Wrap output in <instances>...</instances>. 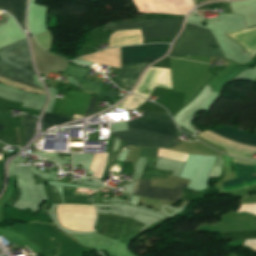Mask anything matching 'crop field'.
I'll use <instances>...</instances> for the list:
<instances>
[{
    "mask_svg": "<svg viewBox=\"0 0 256 256\" xmlns=\"http://www.w3.org/2000/svg\"><path fill=\"white\" fill-rule=\"evenodd\" d=\"M129 128H142L158 132H163L176 136L175 128L172 123L142 117L131 122H127ZM142 129H129V131L114 132L118 139L127 141V146H141V147H173L179 144L178 139L174 136L142 130ZM124 147V148H125Z\"/></svg>",
    "mask_w": 256,
    "mask_h": 256,
    "instance_id": "1",
    "label": "crop field"
},
{
    "mask_svg": "<svg viewBox=\"0 0 256 256\" xmlns=\"http://www.w3.org/2000/svg\"><path fill=\"white\" fill-rule=\"evenodd\" d=\"M169 46L168 44H154L121 48L122 62L155 61L165 55ZM151 63H122V69L114 82L131 90L143 69Z\"/></svg>",
    "mask_w": 256,
    "mask_h": 256,
    "instance_id": "2",
    "label": "crop field"
},
{
    "mask_svg": "<svg viewBox=\"0 0 256 256\" xmlns=\"http://www.w3.org/2000/svg\"><path fill=\"white\" fill-rule=\"evenodd\" d=\"M0 77L41 89L33 85L32 75H36L31 66L27 40L20 41L0 49ZM43 90V89H42Z\"/></svg>",
    "mask_w": 256,
    "mask_h": 256,
    "instance_id": "3",
    "label": "crop field"
},
{
    "mask_svg": "<svg viewBox=\"0 0 256 256\" xmlns=\"http://www.w3.org/2000/svg\"><path fill=\"white\" fill-rule=\"evenodd\" d=\"M168 55H206L226 58L209 30L187 23Z\"/></svg>",
    "mask_w": 256,
    "mask_h": 256,
    "instance_id": "4",
    "label": "crop field"
},
{
    "mask_svg": "<svg viewBox=\"0 0 256 256\" xmlns=\"http://www.w3.org/2000/svg\"><path fill=\"white\" fill-rule=\"evenodd\" d=\"M179 18L153 19L134 23L110 24L104 30L138 29L141 28L144 40L173 38L180 24Z\"/></svg>",
    "mask_w": 256,
    "mask_h": 256,
    "instance_id": "5",
    "label": "crop field"
},
{
    "mask_svg": "<svg viewBox=\"0 0 256 256\" xmlns=\"http://www.w3.org/2000/svg\"><path fill=\"white\" fill-rule=\"evenodd\" d=\"M90 96L81 92L68 91L64 102L54 101L51 113L69 118H72L74 113L84 115Z\"/></svg>",
    "mask_w": 256,
    "mask_h": 256,
    "instance_id": "6",
    "label": "crop field"
},
{
    "mask_svg": "<svg viewBox=\"0 0 256 256\" xmlns=\"http://www.w3.org/2000/svg\"><path fill=\"white\" fill-rule=\"evenodd\" d=\"M233 162H234V166L244 167V168H256V161H242L234 158ZM232 166H233V163H232ZM233 168L235 171L236 178L246 174H251L256 172V169H243V168H237V167H233ZM254 184H256V176L251 177L247 175V176L240 177L238 179L224 182L222 183V186H223V190L227 191V190L242 189Z\"/></svg>",
    "mask_w": 256,
    "mask_h": 256,
    "instance_id": "7",
    "label": "crop field"
},
{
    "mask_svg": "<svg viewBox=\"0 0 256 256\" xmlns=\"http://www.w3.org/2000/svg\"><path fill=\"white\" fill-rule=\"evenodd\" d=\"M184 187H186V185L178 183L175 190L154 188L150 187L149 179H141L136 181L133 194L139 196H148L150 198L156 199L172 200L177 202Z\"/></svg>",
    "mask_w": 256,
    "mask_h": 256,
    "instance_id": "8",
    "label": "crop field"
},
{
    "mask_svg": "<svg viewBox=\"0 0 256 256\" xmlns=\"http://www.w3.org/2000/svg\"><path fill=\"white\" fill-rule=\"evenodd\" d=\"M89 70L90 69L87 67L73 66L69 64L68 68L64 71V73L76 78L82 87V91L93 93L96 95H102V84H98L90 80L84 79Z\"/></svg>",
    "mask_w": 256,
    "mask_h": 256,
    "instance_id": "9",
    "label": "crop field"
},
{
    "mask_svg": "<svg viewBox=\"0 0 256 256\" xmlns=\"http://www.w3.org/2000/svg\"><path fill=\"white\" fill-rule=\"evenodd\" d=\"M208 131L243 144L245 146L256 147V135L246 133L240 129L223 126Z\"/></svg>",
    "mask_w": 256,
    "mask_h": 256,
    "instance_id": "10",
    "label": "crop field"
},
{
    "mask_svg": "<svg viewBox=\"0 0 256 256\" xmlns=\"http://www.w3.org/2000/svg\"><path fill=\"white\" fill-rule=\"evenodd\" d=\"M243 211L253 213L256 215V204L241 205L238 212H243ZM222 234L224 235L226 240L256 239V230L240 231V232H227V233H222ZM243 246H248L256 251V240H245Z\"/></svg>",
    "mask_w": 256,
    "mask_h": 256,
    "instance_id": "11",
    "label": "crop field"
},
{
    "mask_svg": "<svg viewBox=\"0 0 256 256\" xmlns=\"http://www.w3.org/2000/svg\"><path fill=\"white\" fill-rule=\"evenodd\" d=\"M111 67L121 68L120 48H111L105 51L79 58Z\"/></svg>",
    "mask_w": 256,
    "mask_h": 256,
    "instance_id": "12",
    "label": "crop field"
},
{
    "mask_svg": "<svg viewBox=\"0 0 256 256\" xmlns=\"http://www.w3.org/2000/svg\"><path fill=\"white\" fill-rule=\"evenodd\" d=\"M0 9L9 12L24 27L26 0H0Z\"/></svg>",
    "mask_w": 256,
    "mask_h": 256,
    "instance_id": "13",
    "label": "crop field"
},
{
    "mask_svg": "<svg viewBox=\"0 0 256 256\" xmlns=\"http://www.w3.org/2000/svg\"><path fill=\"white\" fill-rule=\"evenodd\" d=\"M70 121H72V120L45 113L43 118H42V129H41V131L45 132L47 129H49V128L55 126V125L67 123V122H70Z\"/></svg>",
    "mask_w": 256,
    "mask_h": 256,
    "instance_id": "14",
    "label": "crop field"
},
{
    "mask_svg": "<svg viewBox=\"0 0 256 256\" xmlns=\"http://www.w3.org/2000/svg\"><path fill=\"white\" fill-rule=\"evenodd\" d=\"M36 117L23 115L22 118V126H24L25 129V135H26V141H30L34 134V124L37 122Z\"/></svg>",
    "mask_w": 256,
    "mask_h": 256,
    "instance_id": "15",
    "label": "crop field"
},
{
    "mask_svg": "<svg viewBox=\"0 0 256 256\" xmlns=\"http://www.w3.org/2000/svg\"><path fill=\"white\" fill-rule=\"evenodd\" d=\"M144 101L145 100H143L135 95H130L124 102H122L120 105H118L115 108L135 110Z\"/></svg>",
    "mask_w": 256,
    "mask_h": 256,
    "instance_id": "16",
    "label": "crop field"
},
{
    "mask_svg": "<svg viewBox=\"0 0 256 256\" xmlns=\"http://www.w3.org/2000/svg\"><path fill=\"white\" fill-rule=\"evenodd\" d=\"M144 116L153 117V118H157V119H160V120L172 122V120L169 117L168 113L145 111L144 112Z\"/></svg>",
    "mask_w": 256,
    "mask_h": 256,
    "instance_id": "17",
    "label": "crop field"
},
{
    "mask_svg": "<svg viewBox=\"0 0 256 256\" xmlns=\"http://www.w3.org/2000/svg\"><path fill=\"white\" fill-rule=\"evenodd\" d=\"M2 130H6V129L0 125V131H2ZM0 141H1V139H0Z\"/></svg>",
    "mask_w": 256,
    "mask_h": 256,
    "instance_id": "18",
    "label": "crop field"
},
{
    "mask_svg": "<svg viewBox=\"0 0 256 256\" xmlns=\"http://www.w3.org/2000/svg\"><path fill=\"white\" fill-rule=\"evenodd\" d=\"M193 1H194L195 6H197V0H193Z\"/></svg>",
    "mask_w": 256,
    "mask_h": 256,
    "instance_id": "19",
    "label": "crop field"
},
{
    "mask_svg": "<svg viewBox=\"0 0 256 256\" xmlns=\"http://www.w3.org/2000/svg\"><path fill=\"white\" fill-rule=\"evenodd\" d=\"M90 191H97V190H90Z\"/></svg>",
    "mask_w": 256,
    "mask_h": 256,
    "instance_id": "20",
    "label": "crop field"
},
{
    "mask_svg": "<svg viewBox=\"0 0 256 256\" xmlns=\"http://www.w3.org/2000/svg\"><path fill=\"white\" fill-rule=\"evenodd\" d=\"M254 132H256V129H255V131Z\"/></svg>",
    "mask_w": 256,
    "mask_h": 256,
    "instance_id": "21",
    "label": "crop field"
}]
</instances>
